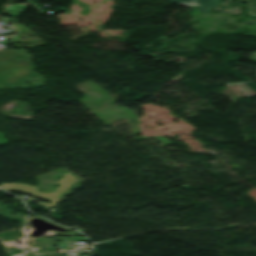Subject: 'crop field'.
Here are the masks:
<instances>
[{
	"label": "crop field",
	"instance_id": "1",
	"mask_svg": "<svg viewBox=\"0 0 256 256\" xmlns=\"http://www.w3.org/2000/svg\"><path fill=\"white\" fill-rule=\"evenodd\" d=\"M17 55H25V58L14 59ZM30 58L25 49L0 51V87H28L27 81L35 86L43 85L45 79L34 72L35 67Z\"/></svg>",
	"mask_w": 256,
	"mask_h": 256
},
{
	"label": "crop field",
	"instance_id": "2",
	"mask_svg": "<svg viewBox=\"0 0 256 256\" xmlns=\"http://www.w3.org/2000/svg\"><path fill=\"white\" fill-rule=\"evenodd\" d=\"M172 2H185L189 0H171ZM219 0H197L196 3L200 5V8L197 9L200 12L208 11L209 7H213L216 5Z\"/></svg>",
	"mask_w": 256,
	"mask_h": 256
},
{
	"label": "crop field",
	"instance_id": "3",
	"mask_svg": "<svg viewBox=\"0 0 256 256\" xmlns=\"http://www.w3.org/2000/svg\"><path fill=\"white\" fill-rule=\"evenodd\" d=\"M25 5L23 4H13L5 7L7 14L16 17L17 11H21Z\"/></svg>",
	"mask_w": 256,
	"mask_h": 256
},
{
	"label": "crop field",
	"instance_id": "4",
	"mask_svg": "<svg viewBox=\"0 0 256 256\" xmlns=\"http://www.w3.org/2000/svg\"><path fill=\"white\" fill-rule=\"evenodd\" d=\"M249 3V11L250 14L256 15V7H253V5H256V0H245Z\"/></svg>",
	"mask_w": 256,
	"mask_h": 256
},
{
	"label": "crop field",
	"instance_id": "5",
	"mask_svg": "<svg viewBox=\"0 0 256 256\" xmlns=\"http://www.w3.org/2000/svg\"><path fill=\"white\" fill-rule=\"evenodd\" d=\"M33 9H35L39 14H43L45 13L44 11H42L37 5H35L33 2L31 4H29Z\"/></svg>",
	"mask_w": 256,
	"mask_h": 256
},
{
	"label": "crop field",
	"instance_id": "6",
	"mask_svg": "<svg viewBox=\"0 0 256 256\" xmlns=\"http://www.w3.org/2000/svg\"><path fill=\"white\" fill-rule=\"evenodd\" d=\"M6 143H8L6 138L2 134H0V145L6 144Z\"/></svg>",
	"mask_w": 256,
	"mask_h": 256
},
{
	"label": "crop field",
	"instance_id": "7",
	"mask_svg": "<svg viewBox=\"0 0 256 256\" xmlns=\"http://www.w3.org/2000/svg\"><path fill=\"white\" fill-rule=\"evenodd\" d=\"M195 1H196V0H194V1H189V2H185V3L195 4Z\"/></svg>",
	"mask_w": 256,
	"mask_h": 256
},
{
	"label": "crop field",
	"instance_id": "8",
	"mask_svg": "<svg viewBox=\"0 0 256 256\" xmlns=\"http://www.w3.org/2000/svg\"><path fill=\"white\" fill-rule=\"evenodd\" d=\"M27 1V3L30 1V0H26Z\"/></svg>",
	"mask_w": 256,
	"mask_h": 256
}]
</instances>
